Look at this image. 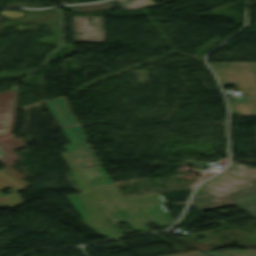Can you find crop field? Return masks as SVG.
Segmentation results:
<instances>
[{
  "instance_id": "8a807250",
  "label": "crop field",
  "mask_w": 256,
  "mask_h": 256,
  "mask_svg": "<svg viewBox=\"0 0 256 256\" xmlns=\"http://www.w3.org/2000/svg\"><path fill=\"white\" fill-rule=\"evenodd\" d=\"M215 72L234 74L217 75L222 85L241 84L246 94H256V63L209 64Z\"/></svg>"
},
{
  "instance_id": "ac0d7876",
  "label": "crop field",
  "mask_w": 256,
  "mask_h": 256,
  "mask_svg": "<svg viewBox=\"0 0 256 256\" xmlns=\"http://www.w3.org/2000/svg\"><path fill=\"white\" fill-rule=\"evenodd\" d=\"M15 120V111L5 114H0V164L11 170L20 178L24 176L12 169L18 157L11 150L25 146L22 138H10ZM4 135L9 138L4 139Z\"/></svg>"
},
{
  "instance_id": "34b2d1b8",
  "label": "crop field",
  "mask_w": 256,
  "mask_h": 256,
  "mask_svg": "<svg viewBox=\"0 0 256 256\" xmlns=\"http://www.w3.org/2000/svg\"><path fill=\"white\" fill-rule=\"evenodd\" d=\"M62 130L71 143L64 145V147L77 169L82 166L99 164V161L85 142L87 138L81 126L64 127Z\"/></svg>"
},
{
  "instance_id": "412701ff",
  "label": "crop field",
  "mask_w": 256,
  "mask_h": 256,
  "mask_svg": "<svg viewBox=\"0 0 256 256\" xmlns=\"http://www.w3.org/2000/svg\"><path fill=\"white\" fill-rule=\"evenodd\" d=\"M92 17V24L88 22ZM103 17L96 16H74V42H104V31L102 29ZM89 29H91V39L88 40Z\"/></svg>"
},
{
  "instance_id": "f4fd0767",
  "label": "crop field",
  "mask_w": 256,
  "mask_h": 256,
  "mask_svg": "<svg viewBox=\"0 0 256 256\" xmlns=\"http://www.w3.org/2000/svg\"><path fill=\"white\" fill-rule=\"evenodd\" d=\"M28 186L30 185L25 183L12 172L6 170L5 168L0 170V191L4 188L10 187L14 190L13 192H16ZM19 205H22V198L15 193L0 196V209L15 208Z\"/></svg>"
},
{
  "instance_id": "dd49c442",
  "label": "crop field",
  "mask_w": 256,
  "mask_h": 256,
  "mask_svg": "<svg viewBox=\"0 0 256 256\" xmlns=\"http://www.w3.org/2000/svg\"><path fill=\"white\" fill-rule=\"evenodd\" d=\"M59 126L77 123L70 114L67 102L64 98H55L45 102Z\"/></svg>"
},
{
  "instance_id": "e52e79f7",
  "label": "crop field",
  "mask_w": 256,
  "mask_h": 256,
  "mask_svg": "<svg viewBox=\"0 0 256 256\" xmlns=\"http://www.w3.org/2000/svg\"><path fill=\"white\" fill-rule=\"evenodd\" d=\"M246 102L233 103L230 111L233 115L256 117V99L254 96L245 97Z\"/></svg>"
},
{
  "instance_id": "d8731c3e",
  "label": "crop field",
  "mask_w": 256,
  "mask_h": 256,
  "mask_svg": "<svg viewBox=\"0 0 256 256\" xmlns=\"http://www.w3.org/2000/svg\"><path fill=\"white\" fill-rule=\"evenodd\" d=\"M18 90L0 93V113L10 112L16 108Z\"/></svg>"
},
{
  "instance_id": "5a996713",
  "label": "crop field",
  "mask_w": 256,
  "mask_h": 256,
  "mask_svg": "<svg viewBox=\"0 0 256 256\" xmlns=\"http://www.w3.org/2000/svg\"><path fill=\"white\" fill-rule=\"evenodd\" d=\"M67 9H70L74 12H89V11H107L111 9L110 1L92 4V5H80V6H68Z\"/></svg>"
},
{
  "instance_id": "3316defc",
  "label": "crop field",
  "mask_w": 256,
  "mask_h": 256,
  "mask_svg": "<svg viewBox=\"0 0 256 256\" xmlns=\"http://www.w3.org/2000/svg\"><path fill=\"white\" fill-rule=\"evenodd\" d=\"M115 1L121 7L122 10L155 5L152 0H131L124 3L121 2L124 0H115Z\"/></svg>"
},
{
  "instance_id": "28ad6ade",
  "label": "crop field",
  "mask_w": 256,
  "mask_h": 256,
  "mask_svg": "<svg viewBox=\"0 0 256 256\" xmlns=\"http://www.w3.org/2000/svg\"><path fill=\"white\" fill-rule=\"evenodd\" d=\"M61 156L63 157V159L65 160L66 164L68 165V167L70 168V170H74L76 169V167L74 166V164L72 163L71 159L69 158V156L67 155V153H63L61 154Z\"/></svg>"
},
{
  "instance_id": "d1516ede",
  "label": "crop field",
  "mask_w": 256,
  "mask_h": 256,
  "mask_svg": "<svg viewBox=\"0 0 256 256\" xmlns=\"http://www.w3.org/2000/svg\"><path fill=\"white\" fill-rule=\"evenodd\" d=\"M175 256H203L197 252H193V253H187V254H181V255H175Z\"/></svg>"
}]
</instances>
